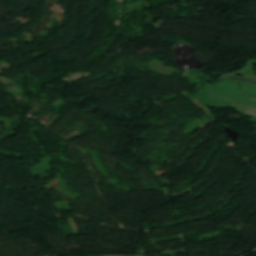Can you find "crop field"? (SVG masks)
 Returning <instances> with one entry per match:
<instances>
[{
    "instance_id": "8a807250",
    "label": "crop field",
    "mask_w": 256,
    "mask_h": 256,
    "mask_svg": "<svg viewBox=\"0 0 256 256\" xmlns=\"http://www.w3.org/2000/svg\"><path fill=\"white\" fill-rule=\"evenodd\" d=\"M220 78L256 85V79L248 78V77L240 78L239 76H236V75L226 74Z\"/></svg>"
},
{
    "instance_id": "ac0d7876",
    "label": "crop field",
    "mask_w": 256,
    "mask_h": 256,
    "mask_svg": "<svg viewBox=\"0 0 256 256\" xmlns=\"http://www.w3.org/2000/svg\"><path fill=\"white\" fill-rule=\"evenodd\" d=\"M220 86L229 87V88H235V89H246V90H250V91L256 92L255 89H249V88H244V87H238V86H232V85H225V84H220Z\"/></svg>"
}]
</instances>
